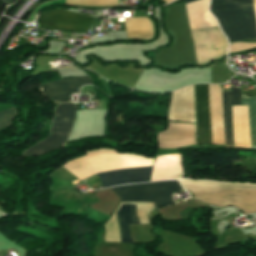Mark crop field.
Wrapping results in <instances>:
<instances>
[{"mask_svg": "<svg viewBox=\"0 0 256 256\" xmlns=\"http://www.w3.org/2000/svg\"><path fill=\"white\" fill-rule=\"evenodd\" d=\"M87 156L65 164L70 173L81 181L102 171L124 167L152 166L153 160L143 156L126 153L119 154L111 149H97L86 152ZM152 167L125 168L97 174L103 187L126 183L149 181Z\"/></svg>", "mask_w": 256, "mask_h": 256, "instance_id": "8a807250", "label": "crop field"}, {"mask_svg": "<svg viewBox=\"0 0 256 256\" xmlns=\"http://www.w3.org/2000/svg\"><path fill=\"white\" fill-rule=\"evenodd\" d=\"M166 28L174 42L169 48L161 49L155 54L156 65L172 68L184 64H197L184 2L166 8ZM148 54L154 59V53ZM179 67L168 70L176 71Z\"/></svg>", "mask_w": 256, "mask_h": 256, "instance_id": "ac0d7876", "label": "crop field"}, {"mask_svg": "<svg viewBox=\"0 0 256 256\" xmlns=\"http://www.w3.org/2000/svg\"><path fill=\"white\" fill-rule=\"evenodd\" d=\"M218 183L222 193L197 197L221 192ZM218 183L181 180L182 186L197 197L194 199L219 207L234 205L241 208L247 214L256 213V184Z\"/></svg>", "mask_w": 256, "mask_h": 256, "instance_id": "34b2d1b8", "label": "crop field"}, {"mask_svg": "<svg viewBox=\"0 0 256 256\" xmlns=\"http://www.w3.org/2000/svg\"><path fill=\"white\" fill-rule=\"evenodd\" d=\"M121 202H154V207L173 204L171 195L183 188L178 181L125 185L112 188Z\"/></svg>", "mask_w": 256, "mask_h": 256, "instance_id": "412701ff", "label": "crop field"}, {"mask_svg": "<svg viewBox=\"0 0 256 256\" xmlns=\"http://www.w3.org/2000/svg\"><path fill=\"white\" fill-rule=\"evenodd\" d=\"M75 121V104L61 103L55 109V118L50 129V137L32 146L24 156L42 155L64 145Z\"/></svg>", "mask_w": 256, "mask_h": 256, "instance_id": "f4fd0767", "label": "crop field"}, {"mask_svg": "<svg viewBox=\"0 0 256 256\" xmlns=\"http://www.w3.org/2000/svg\"><path fill=\"white\" fill-rule=\"evenodd\" d=\"M125 204L137 205L140 223H148L146 215L153 208V204L121 203L118 206V208L115 210L110 220L105 225V230H106L105 241L106 242H120V233H119V228H118L115 213L121 205H125ZM133 205L121 206V208L116 213L119 227H120V232H121V242L132 243L127 224L139 223L137 209H136V206H133Z\"/></svg>", "mask_w": 256, "mask_h": 256, "instance_id": "dd49c442", "label": "crop field"}, {"mask_svg": "<svg viewBox=\"0 0 256 256\" xmlns=\"http://www.w3.org/2000/svg\"><path fill=\"white\" fill-rule=\"evenodd\" d=\"M212 14L219 21L230 43L246 38H256L253 7L215 11Z\"/></svg>", "mask_w": 256, "mask_h": 256, "instance_id": "e52e79f7", "label": "crop field"}, {"mask_svg": "<svg viewBox=\"0 0 256 256\" xmlns=\"http://www.w3.org/2000/svg\"><path fill=\"white\" fill-rule=\"evenodd\" d=\"M93 19L94 17L52 9L43 12L36 22L39 24V28L87 32Z\"/></svg>", "mask_w": 256, "mask_h": 256, "instance_id": "d8731c3e", "label": "crop field"}, {"mask_svg": "<svg viewBox=\"0 0 256 256\" xmlns=\"http://www.w3.org/2000/svg\"><path fill=\"white\" fill-rule=\"evenodd\" d=\"M88 76L58 79L42 84L45 96L58 101L70 100V93H78L80 86L90 84Z\"/></svg>", "mask_w": 256, "mask_h": 256, "instance_id": "5a996713", "label": "crop field"}, {"mask_svg": "<svg viewBox=\"0 0 256 256\" xmlns=\"http://www.w3.org/2000/svg\"><path fill=\"white\" fill-rule=\"evenodd\" d=\"M196 100L208 99V85H194ZM197 144L211 143L209 122V101H196Z\"/></svg>", "mask_w": 256, "mask_h": 256, "instance_id": "3316defc", "label": "crop field"}, {"mask_svg": "<svg viewBox=\"0 0 256 256\" xmlns=\"http://www.w3.org/2000/svg\"><path fill=\"white\" fill-rule=\"evenodd\" d=\"M209 0L186 4L191 30L218 26L207 10Z\"/></svg>", "mask_w": 256, "mask_h": 256, "instance_id": "28ad6ade", "label": "crop field"}, {"mask_svg": "<svg viewBox=\"0 0 256 256\" xmlns=\"http://www.w3.org/2000/svg\"><path fill=\"white\" fill-rule=\"evenodd\" d=\"M223 92L226 147H233L231 105H240V88Z\"/></svg>", "mask_w": 256, "mask_h": 256, "instance_id": "d1516ede", "label": "crop field"}, {"mask_svg": "<svg viewBox=\"0 0 256 256\" xmlns=\"http://www.w3.org/2000/svg\"><path fill=\"white\" fill-rule=\"evenodd\" d=\"M253 6L252 0H211L210 11Z\"/></svg>", "mask_w": 256, "mask_h": 256, "instance_id": "22f410ed", "label": "crop field"}, {"mask_svg": "<svg viewBox=\"0 0 256 256\" xmlns=\"http://www.w3.org/2000/svg\"><path fill=\"white\" fill-rule=\"evenodd\" d=\"M241 105H249L252 146H256V98L242 97Z\"/></svg>", "mask_w": 256, "mask_h": 256, "instance_id": "cbeb9de0", "label": "crop field"}, {"mask_svg": "<svg viewBox=\"0 0 256 256\" xmlns=\"http://www.w3.org/2000/svg\"><path fill=\"white\" fill-rule=\"evenodd\" d=\"M15 115H17L15 107L0 111V129L10 126L12 124L11 119Z\"/></svg>", "mask_w": 256, "mask_h": 256, "instance_id": "5142ce71", "label": "crop field"}, {"mask_svg": "<svg viewBox=\"0 0 256 256\" xmlns=\"http://www.w3.org/2000/svg\"><path fill=\"white\" fill-rule=\"evenodd\" d=\"M3 1H5L8 5L16 2V0H3Z\"/></svg>", "mask_w": 256, "mask_h": 256, "instance_id": "d9b57169", "label": "crop field"}, {"mask_svg": "<svg viewBox=\"0 0 256 256\" xmlns=\"http://www.w3.org/2000/svg\"><path fill=\"white\" fill-rule=\"evenodd\" d=\"M191 1H195V0H185V3H187V2H191Z\"/></svg>", "mask_w": 256, "mask_h": 256, "instance_id": "733c2abd", "label": "crop field"}, {"mask_svg": "<svg viewBox=\"0 0 256 256\" xmlns=\"http://www.w3.org/2000/svg\"><path fill=\"white\" fill-rule=\"evenodd\" d=\"M198 65H200V64H198Z\"/></svg>", "mask_w": 256, "mask_h": 256, "instance_id": "4a817a6b", "label": "crop field"}]
</instances>
